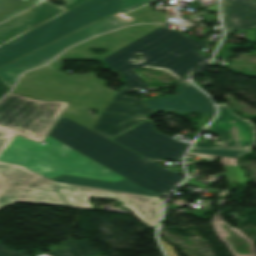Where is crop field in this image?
I'll list each match as a JSON object with an SVG mask.
<instances>
[{
  "mask_svg": "<svg viewBox=\"0 0 256 256\" xmlns=\"http://www.w3.org/2000/svg\"><path fill=\"white\" fill-rule=\"evenodd\" d=\"M49 136L136 184L166 195L183 177L61 116Z\"/></svg>",
  "mask_w": 256,
  "mask_h": 256,
  "instance_id": "crop-field-1",
  "label": "crop field"
},
{
  "mask_svg": "<svg viewBox=\"0 0 256 256\" xmlns=\"http://www.w3.org/2000/svg\"><path fill=\"white\" fill-rule=\"evenodd\" d=\"M200 44L184 34L166 28H158L123 49L102 59L110 69L120 71L125 77V85L135 90L148 85L131 69L150 66L170 70L180 81L202 67L208 58L195 50L207 45ZM135 53L143 54L137 62L128 61Z\"/></svg>",
  "mask_w": 256,
  "mask_h": 256,
  "instance_id": "crop-field-2",
  "label": "crop field"
},
{
  "mask_svg": "<svg viewBox=\"0 0 256 256\" xmlns=\"http://www.w3.org/2000/svg\"><path fill=\"white\" fill-rule=\"evenodd\" d=\"M97 74H71L47 66L26 73L13 91L37 99L72 101L64 116L91 129L114 96ZM105 89L108 90L105 92ZM97 110L90 115L87 109Z\"/></svg>",
  "mask_w": 256,
  "mask_h": 256,
  "instance_id": "crop-field-3",
  "label": "crop field"
},
{
  "mask_svg": "<svg viewBox=\"0 0 256 256\" xmlns=\"http://www.w3.org/2000/svg\"><path fill=\"white\" fill-rule=\"evenodd\" d=\"M45 145L16 135L0 161L23 165L43 176L61 174L117 182L124 179L67 145L47 136Z\"/></svg>",
  "mask_w": 256,
  "mask_h": 256,
  "instance_id": "crop-field-4",
  "label": "crop field"
},
{
  "mask_svg": "<svg viewBox=\"0 0 256 256\" xmlns=\"http://www.w3.org/2000/svg\"><path fill=\"white\" fill-rule=\"evenodd\" d=\"M88 196L156 206L162 199L62 184L46 177L0 184V208L15 201L91 208Z\"/></svg>",
  "mask_w": 256,
  "mask_h": 256,
  "instance_id": "crop-field-5",
  "label": "crop field"
},
{
  "mask_svg": "<svg viewBox=\"0 0 256 256\" xmlns=\"http://www.w3.org/2000/svg\"><path fill=\"white\" fill-rule=\"evenodd\" d=\"M120 6L121 0H89L1 46L0 65L118 11Z\"/></svg>",
  "mask_w": 256,
  "mask_h": 256,
  "instance_id": "crop-field-6",
  "label": "crop field"
},
{
  "mask_svg": "<svg viewBox=\"0 0 256 256\" xmlns=\"http://www.w3.org/2000/svg\"><path fill=\"white\" fill-rule=\"evenodd\" d=\"M68 102L39 101L13 91L0 100V128L43 141Z\"/></svg>",
  "mask_w": 256,
  "mask_h": 256,
  "instance_id": "crop-field-7",
  "label": "crop field"
},
{
  "mask_svg": "<svg viewBox=\"0 0 256 256\" xmlns=\"http://www.w3.org/2000/svg\"><path fill=\"white\" fill-rule=\"evenodd\" d=\"M156 0H122L120 11L70 35L45 48H42L20 60H17L0 69V78L10 88L14 86L22 72L37 68L57 56L65 48L85 40L98 33L120 28L129 24L135 18L126 13L140 8Z\"/></svg>",
  "mask_w": 256,
  "mask_h": 256,
  "instance_id": "crop-field-8",
  "label": "crop field"
},
{
  "mask_svg": "<svg viewBox=\"0 0 256 256\" xmlns=\"http://www.w3.org/2000/svg\"><path fill=\"white\" fill-rule=\"evenodd\" d=\"M119 89L91 129L109 139L154 115L138 98L123 95L130 91L125 86Z\"/></svg>",
  "mask_w": 256,
  "mask_h": 256,
  "instance_id": "crop-field-9",
  "label": "crop field"
},
{
  "mask_svg": "<svg viewBox=\"0 0 256 256\" xmlns=\"http://www.w3.org/2000/svg\"><path fill=\"white\" fill-rule=\"evenodd\" d=\"M143 156L180 160L190 143L175 141L157 133L149 120L113 139Z\"/></svg>",
  "mask_w": 256,
  "mask_h": 256,
  "instance_id": "crop-field-10",
  "label": "crop field"
},
{
  "mask_svg": "<svg viewBox=\"0 0 256 256\" xmlns=\"http://www.w3.org/2000/svg\"><path fill=\"white\" fill-rule=\"evenodd\" d=\"M217 105L219 108L217 119L204 130L218 134L219 142H202L203 136H199L193 147L251 148L255 144L254 124L232 114L229 107L223 104Z\"/></svg>",
  "mask_w": 256,
  "mask_h": 256,
  "instance_id": "crop-field-11",
  "label": "crop field"
},
{
  "mask_svg": "<svg viewBox=\"0 0 256 256\" xmlns=\"http://www.w3.org/2000/svg\"><path fill=\"white\" fill-rule=\"evenodd\" d=\"M160 25H134L126 28H122L118 31L111 32L105 35L97 36L85 43L76 45L66 50L49 66L55 69L62 68L61 61L59 59H91L100 60L111 53L123 48L124 46L132 43L133 41L141 38L152 30L156 29ZM90 47L106 48L109 52L102 55H96L88 51Z\"/></svg>",
  "mask_w": 256,
  "mask_h": 256,
  "instance_id": "crop-field-12",
  "label": "crop field"
},
{
  "mask_svg": "<svg viewBox=\"0 0 256 256\" xmlns=\"http://www.w3.org/2000/svg\"><path fill=\"white\" fill-rule=\"evenodd\" d=\"M64 6L45 1L0 24V46L87 0H65Z\"/></svg>",
  "mask_w": 256,
  "mask_h": 256,
  "instance_id": "crop-field-13",
  "label": "crop field"
},
{
  "mask_svg": "<svg viewBox=\"0 0 256 256\" xmlns=\"http://www.w3.org/2000/svg\"><path fill=\"white\" fill-rule=\"evenodd\" d=\"M152 110L198 111L213 115L214 109L208 99L189 82L177 87V95L142 100Z\"/></svg>",
  "mask_w": 256,
  "mask_h": 256,
  "instance_id": "crop-field-14",
  "label": "crop field"
},
{
  "mask_svg": "<svg viewBox=\"0 0 256 256\" xmlns=\"http://www.w3.org/2000/svg\"><path fill=\"white\" fill-rule=\"evenodd\" d=\"M227 31L256 26V0H221Z\"/></svg>",
  "mask_w": 256,
  "mask_h": 256,
  "instance_id": "crop-field-15",
  "label": "crop field"
},
{
  "mask_svg": "<svg viewBox=\"0 0 256 256\" xmlns=\"http://www.w3.org/2000/svg\"><path fill=\"white\" fill-rule=\"evenodd\" d=\"M211 224L217 236L227 245L233 256H256L253 241L236 228L225 223L221 215L213 214Z\"/></svg>",
  "mask_w": 256,
  "mask_h": 256,
  "instance_id": "crop-field-16",
  "label": "crop field"
},
{
  "mask_svg": "<svg viewBox=\"0 0 256 256\" xmlns=\"http://www.w3.org/2000/svg\"><path fill=\"white\" fill-rule=\"evenodd\" d=\"M52 179L58 182L68 183V184L82 185V186L115 190V191L128 192V193L141 194V195H148V196H154V197L159 196V194L152 192L146 188L139 187L138 185L126 179L119 181L117 183L86 179V178H80V177H73V176H67V175H61Z\"/></svg>",
  "mask_w": 256,
  "mask_h": 256,
  "instance_id": "crop-field-17",
  "label": "crop field"
},
{
  "mask_svg": "<svg viewBox=\"0 0 256 256\" xmlns=\"http://www.w3.org/2000/svg\"><path fill=\"white\" fill-rule=\"evenodd\" d=\"M15 134L0 130V154L14 138ZM41 177L23 166L0 162V182Z\"/></svg>",
  "mask_w": 256,
  "mask_h": 256,
  "instance_id": "crop-field-18",
  "label": "crop field"
},
{
  "mask_svg": "<svg viewBox=\"0 0 256 256\" xmlns=\"http://www.w3.org/2000/svg\"><path fill=\"white\" fill-rule=\"evenodd\" d=\"M62 248L49 250L53 256H98L97 252L88 242L83 241H63Z\"/></svg>",
  "mask_w": 256,
  "mask_h": 256,
  "instance_id": "crop-field-19",
  "label": "crop field"
},
{
  "mask_svg": "<svg viewBox=\"0 0 256 256\" xmlns=\"http://www.w3.org/2000/svg\"><path fill=\"white\" fill-rule=\"evenodd\" d=\"M42 0H0V21Z\"/></svg>",
  "mask_w": 256,
  "mask_h": 256,
  "instance_id": "crop-field-20",
  "label": "crop field"
},
{
  "mask_svg": "<svg viewBox=\"0 0 256 256\" xmlns=\"http://www.w3.org/2000/svg\"><path fill=\"white\" fill-rule=\"evenodd\" d=\"M122 206L131 208V210H133L136 215L147 224L155 226L158 218L159 207L127 202H123Z\"/></svg>",
  "mask_w": 256,
  "mask_h": 256,
  "instance_id": "crop-field-21",
  "label": "crop field"
},
{
  "mask_svg": "<svg viewBox=\"0 0 256 256\" xmlns=\"http://www.w3.org/2000/svg\"><path fill=\"white\" fill-rule=\"evenodd\" d=\"M128 15L137 18V22L164 23L166 20L163 14L153 12L148 5L130 12Z\"/></svg>",
  "mask_w": 256,
  "mask_h": 256,
  "instance_id": "crop-field-22",
  "label": "crop field"
},
{
  "mask_svg": "<svg viewBox=\"0 0 256 256\" xmlns=\"http://www.w3.org/2000/svg\"><path fill=\"white\" fill-rule=\"evenodd\" d=\"M191 152L202 153V154H211V155H220V156H229L238 158L240 155L250 151V150H233V149H191Z\"/></svg>",
  "mask_w": 256,
  "mask_h": 256,
  "instance_id": "crop-field-23",
  "label": "crop field"
},
{
  "mask_svg": "<svg viewBox=\"0 0 256 256\" xmlns=\"http://www.w3.org/2000/svg\"><path fill=\"white\" fill-rule=\"evenodd\" d=\"M0 256H29L24 251L8 249L0 242Z\"/></svg>",
  "mask_w": 256,
  "mask_h": 256,
  "instance_id": "crop-field-24",
  "label": "crop field"
},
{
  "mask_svg": "<svg viewBox=\"0 0 256 256\" xmlns=\"http://www.w3.org/2000/svg\"><path fill=\"white\" fill-rule=\"evenodd\" d=\"M8 88L0 81V97L8 92Z\"/></svg>",
  "mask_w": 256,
  "mask_h": 256,
  "instance_id": "crop-field-25",
  "label": "crop field"
},
{
  "mask_svg": "<svg viewBox=\"0 0 256 256\" xmlns=\"http://www.w3.org/2000/svg\"><path fill=\"white\" fill-rule=\"evenodd\" d=\"M171 73V72H170ZM172 74V73H171ZM173 75V74H172ZM173 76H175V75H173ZM176 77V76H175ZM177 79H178V77H176Z\"/></svg>",
  "mask_w": 256,
  "mask_h": 256,
  "instance_id": "crop-field-26",
  "label": "crop field"
}]
</instances>
